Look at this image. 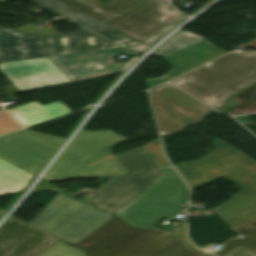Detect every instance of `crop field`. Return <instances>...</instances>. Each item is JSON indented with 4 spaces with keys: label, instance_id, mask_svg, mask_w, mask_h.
<instances>
[{
    "label": "crop field",
    "instance_id": "34",
    "mask_svg": "<svg viewBox=\"0 0 256 256\" xmlns=\"http://www.w3.org/2000/svg\"><path fill=\"white\" fill-rule=\"evenodd\" d=\"M218 140H219V139H213V142H214L215 145H216V149H215L214 152H212V153L209 154V155H206L205 157H209V156H214V155H216ZM205 157H204V158H205Z\"/></svg>",
    "mask_w": 256,
    "mask_h": 256
},
{
    "label": "crop field",
    "instance_id": "8",
    "mask_svg": "<svg viewBox=\"0 0 256 256\" xmlns=\"http://www.w3.org/2000/svg\"><path fill=\"white\" fill-rule=\"evenodd\" d=\"M64 140L25 129L0 137V158L36 175Z\"/></svg>",
    "mask_w": 256,
    "mask_h": 256
},
{
    "label": "crop field",
    "instance_id": "31",
    "mask_svg": "<svg viewBox=\"0 0 256 256\" xmlns=\"http://www.w3.org/2000/svg\"><path fill=\"white\" fill-rule=\"evenodd\" d=\"M256 85V84H255ZM254 85V86H255ZM253 87V86H252ZM251 88V87H250ZM249 89V88H248ZM248 89H246V90H248ZM246 90H244V91H246ZM244 91H242V92H244ZM242 92H240V93H238V94H236L235 96H237V95H239V94H241ZM235 96H233V97H235ZM233 97H231L228 101H227V103L224 105V106H222L220 109H218L219 111H225V112H230L234 107H236L239 103H237L236 101H234L233 99ZM233 98V99H232Z\"/></svg>",
    "mask_w": 256,
    "mask_h": 256
},
{
    "label": "crop field",
    "instance_id": "24",
    "mask_svg": "<svg viewBox=\"0 0 256 256\" xmlns=\"http://www.w3.org/2000/svg\"><path fill=\"white\" fill-rule=\"evenodd\" d=\"M89 30H91L107 39H110L116 43L123 42V43L129 44L131 46L139 43L138 41L131 39V38L117 32L103 24L100 26L90 28Z\"/></svg>",
    "mask_w": 256,
    "mask_h": 256
},
{
    "label": "crop field",
    "instance_id": "17",
    "mask_svg": "<svg viewBox=\"0 0 256 256\" xmlns=\"http://www.w3.org/2000/svg\"><path fill=\"white\" fill-rule=\"evenodd\" d=\"M58 1L103 23L104 21L144 2L145 0H110L105 3H102L99 0Z\"/></svg>",
    "mask_w": 256,
    "mask_h": 256
},
{
    "label": "crop field",
    "instance_id": "5",
    "mask_svg": "<svg viewBox=\"0 0 256 256\" xmlns=\"http://www.w3.org/2000/svg\"><path fill=\"white\" fill-rule=\"evenodd\" d=\"M111 217L106 212L58 194L31 225L74 246Z\"/></svg>",
    "mask_w": 256,
    "mask_h": 256
},
{
    "label": "crop field",
    "instance_id": "19",
    "mask_svg": "<svg viewBox=\"0 0 256 256\" xmlns=\"http://www.w3.org/2000/svg\"><path fill=\"white\" fill-rule=\"evenodd\" d=\"M33 177L0 160V195L24 189Z\"/></svg>",
    "mask_w": 256,
    "mask_h": 256
},
{
    "label": "crop field",
    "instance_id": "36",
    "mask_svg": "<svg viewBox=\"0 0 256 256\" xmlns=\"http://www.w3.org/2000/svg\"><path fill=\"white\" fill-rule=\"evenodd\" d=\"M6 1H8V0H0V3H4V2H6Z\"/></svg>",
    "mask_w": 256,
    "mask_h": 256
},
{
    "label": "crop field",
    "instance_id": "35",
    "mask_svg": "<svg viewBox=\"0 0 256 256\" xmlns=\"http://www.w3.org/2000/svg\"><path fill=\"white\" fill-rule=\"evenodd\" d=\"M5 213V211L0 209V217Z\"/></svg>",
    "mask_w": 256,
    "mask_h": 256
},
{
    "label": "crop field",
    "instance_id": "16",
    "mask_svg": "<svg viewBox=\"0 0 256 256\" xmlns=\"http://www.w3.org/2000/svg\"><path fill=\"white\" fill-rule=\"evenodd\" d=\"M47 43L50 56L119 47L87 30L64 36L47 37Z\"/></svg>",
    "mask_w": 256,
    "mask_h": 256
},
{
    "label": "crop field",
    "instance_id": "4",
    "mask_svg": "<svg viewBox=\"0 0 256 256\" xmlns=\"http://www.w3.org/2000/svg\"><path fill=\"white\" fill-rule=\"evenodd\" d=\"M213 63L172 82L216 109L256 81V53L227 54Z\"/></svg>",
    "mask_w": 256,
    "mask_h": 256
},
{
    "label": "crop field",
    "instance_id": "33",
    "mask_svg": "<svg viewBox=\"0 0 256 256\" xmlns=\"http://www.w3.org/2000/svg\"><path fill=\"white\" fill-rule=\"evenodd\" d=\"M172 9V8H171ZM180 14L171 10L169 12H167L162 18L161 20L166 22V23H169L171 22L172 20H174L176 17H178Z\"/></svg>",
    "mask_w": 256,
    "mask_h": 256
},
{
    "label": "crop field",
    "instance_id": "12",
    "mask_svg": "<svg viewBox=\"0 0 256 256\" xmlns=\"http://www.w3.org/2000/svg\"><path fill=\"white\" fill-rule=\"evenodd\" d=\"M162 174L158 169L113 179L96 192L98 197L87 203L116 214L143 194Z\"/></svg>",
    "mask_w": 256,
    "mask_h": 256
},
{
    "label": "crop field",
    "instance_id": "13",
    "mask_svg": "<svg viewBox=\"0 0 256 256\" xmlns=\"http://www.w3.org/2000/svg\"><path fill=\"white\" fill-rule=\"evenodd\" d=\"M170 8L161 0H150L105 24L142 41L166 25L160 18Z\"/></svg>",
    "mask_w": 256,
    "mask_h": 256
},
{
    "label": "crop field",
    "instance_id": "30",
    "mask_svg": "<svg viewBox=\"0 0 256 256\" xmlns=\"http://www.w3.org/2000/svg\"><path fill=\"white\" fill-rule=\"evenodd\" d=\"M52 181L44 178V180L41 182V184L38 186V188L35 190L36 191H40L42 189H47V190H51V191H58L61 192L62 190L52 184H50Z\"/></svg>",
    "mask_w": 256,
    "mask_h": 256
},
{
    "label": "crop field",
    "instance_id": "29",
    "mask_svg": "<svg viewBox=\"0 0 256 256\" xmlns=\"http://www.w3.org/2000/svg\"><path fill=\"white\" fill-rule=\"evenodd\" d=\"M179 228H180V227H179ZM185 230H186V226H185V224H183V225H181V228H180V229H177V230L174 231V234H175L177 237L183 239V242H185V243L187 244V246H188L191 250L202 252V251L196 249V248L187 240V238H186V236H185ZM203 253H204V252H203Z\"/></svg>",
    "mask_w": 256,
    "mask_h": 256
},
{
    "label": "crop field",
    "instance_id": "15",
    "mask_svg": "<svg viewBox=\"0 0 256 256\" xmlns=\"http://www.w3.org/2000/svg\"><path fill=\"white\" fill-rule=\"evenodd\" d=\"M47 56L43 37L0 29V61Z\"/></svg>",
    "mask_w": 256,
    "mask_h": 256
},
{
    "label": "crop field",
    "instance_id": "1",
    "mask_svg": "<svg viewBox=\"0 0 256 256\" xmlns=\"http://www.w3.org/2000/svg\"><path fill=\"white\" fill-rule=\"evenodd\" d=\"M174 167L192 191L220 178L240 190L212 210L245 237L234 238L211 254L222 256L239 246L256 253V162L220 140L217 156Z\"/></svg>",
    "mask_w": 256,
    "mask_h": 256
},
{
    "label": "crop field",
    "instance_id": "25",
    "mask_svg": "<svg viewBox=\"0 0 256 256\" xmlns=\"http://www.w3.org/2000/svg\"><path fill=\"white\" fill-rule=\"evenodd\" d=\"M184 19L183 15L176 18L174 21L151 35L150 37L146 38L144 41L139 43L136 47H132L130 49H135L139 51H146L154 42H156L159 38H161L165 33H167L171 28H173L176 24Z\"/></svg>",
    "mask_w": 256,
    "mask_h": 256
},
{
    "label": "crop field",
    "instance_id": "3",
    "mask_svg": "<svg viewBox=\"0 0 256 256\" xmlns=\"http://www.w3.org/2000/svg\"><path fill=\"white\" fill-rule=\"evenodd\" d=\"M124 139L112 130L93 133L82 130L46 176L60 182L127 173L111 151Z\"/></svg>",
    "mask_w": 256,
    "mask_h": 256
},
{
    "label": "crop field",
    "instance_id": "7",
    "mask_svg": "<svg viewBox=\"0 0 256 256\" xmlns=\"http://www.w3.org/2000/svg\"><path fill=\"white\" fill-rule=\"evenodd\" d=\"M161 137L201 123L212 111L168 84L150 91Z\"/></svg>",
    "mask_w": 256,
    "mask_h": 256
},
{
    "label": "crop field",
    "instance_id": "28",
    "mask_svg": "<svg viewBox=\"0 0 256 256\" xmlns=\"http://www.w3.org/2000/svg\"><path fill=\"white\" fill-rule=\"evenodd\" d=\"M17 30H21L27 33H32V34H38V35H60L59 32H57L55 29H50V30H38L33 28V24L30 23L24 27H21Z\"/></svg>",
    "mask_w": 256,
    "mask_h": 256
},
{
    "label": "crop field",
    "instance_id": "21",
    "mask_svg": "<svg viewBox=\"0 0 256 256\" xmlns=\"http://www.w3.org/2000/svg\"><path fill=\"white\" fill-rule=\"evenodd\" d=\"M31 1L59 14L60 16L84 28L100 23L56 0H31Z\"/></svg>",
    "mask_w": 256,
    "mask_h": 256
},
{
    "label": "crop field",
    "instance_id": "9",
    "mask_svg": "<svg viewBox=\"0 0 256 256\" xmlns=\"http://www.w3.org/2000/svg\"><path fill=\"white\" fill-rule=\"evenodd\" d=\"M120 54L134 56L139 52L118 48L51 58L72 81H75L123 71L138 58L133 57L127 63L116 64L113 59Z\"/></svg>",
    "mask_w": 256,
    "mask_h": 256
},
{
    "label": "crop field",
    "instance_id": "2",
    "mask_svg": "<svg viewBox=\"0 0 256 256\" xmlns=\"http://www.w3.org/2000/svg\"><path fill=\"white\" fill-rule=\"evenodd\" d=\"M74 247L88 256H205L169 232L132 227L115 216Z\"/></svg>",
    "mask_w": 256,
    "mask_h": 256
},
{
    "label": "crop field",
    "instance_id": "27",
    "mask_svg": "<svg viewBox=\"0 0 256 256\" xmlns=\"http://www.w3.org/2000/svg\"><path fill=\"white\" fill-rule=\"evenodd\" d=\"M146 147L148 148V150L152 154L153 158L155 159V161L157 162L159 167L169 165V163L167 162L166 158L164 157V155H163V153L160 149V145H159L158 140L154 141L152 143L146 144Z\"/></svg>",
    "mask_w": 256,
    "mask_h": 256
},
{
    "label": "crop field",
    "instance_id": "22",
    "mask_svg": "<svg viewBox=\"0 0 256 256\" xmlns=\"http://www.w3.org/2000/svg\"><path fill=\"white\" fill-rule=\"evenodd\" d=\"M200 39H204V37L195 35L189 32L181 31L175 37H173L170 41L164 44L158 51H156L154 55L164 57Z\"/></svg>",
    "mask_w": 256,
    "mask_h": 256
},
{
    "label": "crop field",
    "instance_id": "6",
    "mask_svg": "<svg viewBox=\"0 0 256 256\" xmlns=\"http://www.w3.org/2000/svg\"><path fill=\"white\" fill-rule=\"evenodd\" d=\"M162 171L164 174L143 195L117 215L132 224L155 228L162 218H174L185 211L188 189L171 167Z\"/></svg>",
    "mask_w": 256,
    "mask_h": 256
},
{
    "label": "crop field",
    "instance_id": "20",
    "mask_svg": "<svg viewBox=\"0 0 256 256\" xmlns=\"http://www.w3.org/2000/svg\"><path fill=\"white\" fill-rule=\"evenodd\" d=\"M116 157L129 174L158 167L145 145L116 154Z\"/></svg>",
    "mask_w": 256,
    "mask_h": 256
},
{
    "label": "crop field",
    "instance_id": "10",
    "mask_svg": "<svg viewBox=\"0 0 256 256\" xmlns=\"http://www.w3.org/2000/svg\"><path fill=\"white\" fill-rule=\"evenodd\" d=\"M0 70L19 92L71 82L49 57L0 63Z\"/></svg>",
    "mask_w": 256,
    "mask_h": 256
},
{
    "label": "crop field",
    "instance_id": "26",
    "mask_svg": "<svg viewBox=\"0 0 256 256\" xmlns=\"http://www.w3.org/2000/svg\"><path fill=\"white\" fill-rule=\"evenodd\" d=\"M20 129L17 123L4 110L0 111V135Z\"/></svg>",
    "mask_w": 256,
    "mask_h": 256
},
{
    "label": "crop field",
    "instance_id": "32",
    "mask_svg": "<svg viewBox=\"0 0 256 256\" xmlns=\"http://www.w3.org/2000/svg\"><path fill=\"white\" fill-rule=\"evenodd\" d=\"M224 256H256V254L239 247Z\"/></svg>",
    "mask_w": 256,
    "mask_h": 256
},
{
    "label": "crop field",
    "instance_id": "14",
    "mask_svg": "<svg viewBox=\"0 0 256 256\" xmlns=\"http://www.w3.org/2000/svg\"><path fill=\"white\" fill-rule=\"evenodd\" d=\"M224 53L226 52L217 48L216 46L204 40H200L163 58L173 67L167 75L163 76L162 78L148 79L145 81L148 88H151L157 84L164 83L182 73H185Z\"/></svg>",
    "mask_w": 256,
    "mask_h": 256
},
{
    "label": "crop field",
    "instance_id": "23",
    "mask_svg": "<svg viewBox=\"0 0 256 256\" xmlns=\"http://www.w3.org/2000/svg\"><path fill=\"white\" fill-rule=\"evenodd\" d=\"M87 254L73 248L72 246L57 241L38 256H86Z\"/></svg>",
    "mask_w": 256,
    "mask_h": 256
},
{
    "label": "crop field",
    "instance_id": "18",
    "mask_svg": "<svg viewBox=\"0 0 256 256\" xmlns=\"http://www.w3.org/2000/svg\"><path fill=\"white\" fill-rule=\"evenodd\" d=\"M8 111L22 126L32 125L71 113L60 101L44 106L33 101Z\"/></svg>",
    "mask_w": 256,
    "mask_h": 256
},
{
    "label": "crop field",
    "instance_id": "11",
    "mask_svg": "<svg viewBox=\"0 0 256 256\" xmlns=\"http://www.w3.org/2000/svg\"><path fill=\"white\" fill-rule=\"evenodd\" d=\"M57 240L11 216L0 227V256H37Z\"/></svg>",
    "mask_w": 256,
    "mask_h": 256
}]
</instances>
